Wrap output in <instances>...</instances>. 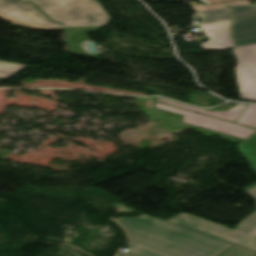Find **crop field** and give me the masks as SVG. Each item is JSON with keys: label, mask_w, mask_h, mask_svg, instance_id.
Masks as SVG:
<instances>
[{"label": "crop field", "mask_w": 256, "mask_h": 256, "mask_svg": "<svg viewBox=\"0 0 256 256\" xmlns=\"http://www.w3.org/2000/svg\"><path fill=\"white\" fill-rule=\"evenodd\" d=\"M117 220L131 237L118 256H217L232 245L146 214Z\"/></svg>", "instance_id": "crop-field-1"}, {"label": "crop field", "mask_w": 256, "mask_h": 256, "mask_svg": "<svg viewBox=\"0 0 256 256\" xmlns=\"http://www.w3.org/2000/svg\"><path fill=\"white\" fill-rule=\"evenodd\" d=\"M36 4L63 27L99 26L110 21L109 15L95 0H24Z\"/></svg>", "instance_id": "crop-field-2"}, {"label": "crop field", "mask_w": 256, "mask_h": 256, "mask_svg": "<svg viewBox=\"0 0 256 256\" xmlns=\"http://www.w3.org/2000/svg\"><path fill=\"white\" fill-rule=\"evenodd\" d=\"M245 191L256 200V186ZM168 221L256 252V212L244 219L235 231L186 213Z\"/></svg>", "instance_id": "crop-field-3"}, {"label": "crop field", "mask_w": 256, "mask_h": 256, "mask_svg": "<svg viewBox=\"0 0 256 256\" xmlns=\"http://www.w3.org/2000/svg\"><path fill=\"white\" fill-rule=\"evenodd\" d=\"M0 17L28 28L61 29L60 24L52 23L32 4L15 0H0Z\"/></svg>", "instance_id": "crop-field-4"}, {"label": "crop field", "mask_w": 256, "mask_h": 256, "mask_svg": "<svg viewBox=\"0 0 256 256\" xmlns=\"http://www.w3.org/2000/svg\"><path fill=\"white\" fill-rule=\"evenodd\" d=\"M155 107L184 116L182 121L183 123L203 127L206 129L227 134L243 140L247 139L248 137L256 133V130H253V129L241 127L232 123H228V122L207 117L204 115L188 112V111L178 109L172 106H168L162 103L156 102Z\"/></svg>", "instance_id": "crop-field-5"}, {"label": "crop field", "mask_w": 256, "mask_h": 256, "mask_svg": "<svg viewBox=\"0 0 256 256\" xmlns=\"http://www.w3.org/2000/svg\"><path fill=\"white\" fill-rule=\"evenodd\" d=\"M241 100L256 101V46L233 49Z\"/></svg>", "instance_id": "crop-field-6"}, {"label": "crop field", "mask_w": 256, "mask_h": 256, "mask_svg": "<svg viewBox=\"0 0 256 256\" xmlns=\"http://www.w3.org/2000/svg\"><path fill=\"white\" fill-rule=\"evenodd\" d=\"M231 40L235 47L256 43V4L233 7Z\"/></svg>", "instance_id": "crop-field-7"}, {"label": "crop field", "mask_w": 256, "mask_h": 256, "mask_svg": "<svg viewBox=\"0 0 256 256\" xmlns=\"http://www.w3.org/2000/svg\"><path fill=\"white\" fill-rule=\"evenodd\" d=\"M230 22L203 25L201 28L210 38L209 41L202 43L203 50L232 48L230 41Z\"/></svg>", "instance_id": "crop-field-8"}, {"label": "crop field", "mask_w": 256, "mask_h": 256, "mask_svg": "<svg viewBox=\"0 0 256 256\" xmlns=\"http://www.w3.org/2000/svg\"><path fill=\"white\" fill-rule=\"evenodd\" d=\"M156 100L160 101V102L170 104V105H174V106H177V107H180V108L205 113V114H208V115H212V116L219 117V118H222V119L230 120V121H233V122H235L237 117L240 115V113L246 107V105L238 104L227 112H208V111H205V110H202V109L190 107V106H187V105H184V104H181V103H178V102L166 100V99H163V98H159V99H156Z\"/></svg>", "instance_id": "crop-field-9"}, {"label": "crop field", "mask_w": 256, "mask_h": 256, "mask_svg": "<svg viewBox=\"0 0 256 256\" xmlns=\"http://www.w3.org/2000/svg\"><path fill=\"white\" fill-rule=\"evenodd\" d=\"M232 12L229 8L208 11L195 12L191 20L202 19L205 24L232 20Z\"/></svg>", "instance_id": "crop-field-10"}, {"label": "crop field", "mask_w": 256, "mask_h": 256, "mask_svg": "<svg viewBox=\"0 0 256 256\" xmlns=\"http://www.w3.org/2000/svg\"><path fill=\"white\" fill-rule=\"evenodd\" d=\"M241 153L248 159L256 170V134L238 145Z\"/></svg>", "instance_id": "crop-field-11"}, {"label": "crop field", "mask_w": 256, "mask_h": 256, "mask_svg": "<svg viewBox=\"0 0 256 256\" xmlns=\"http://www.w3.org/2000/svg\"><path fill=\"white\" fill-rule=\"evenodd\" d=\"M236 123L256 128V106L249 105Z\"/></svg>", "instance_id": "crop-field-12"}, {"label": "crop field", "mask_w": 256, "mask_h": 256, "mask_svg": "<svg viewBox=\"0 0 256 256\" xmlns=\"http://www.w3.org/2000/svg\"><path fill=\"white\" fill-rule=\"evenodd\" d=\"M220 256H256V253L234 245Z\"/></svg>", "instance_id": "crop-field-13"}, {"label": "crop field", "mask_w": 256, "mask_h": 256, "mask_svg": "<svg viewBox=\"0 0 256 256\" xmlns=\"http://www.w3.org/2000/svg\"><path fill=\"white\" fill-rule=\"evenodd\" d=\"M22 69L23 68H21V67L0 66V77L8 78V77L16 74L17 72H19Z\"/></svg>", "instance_id": "crop-field-14"}, {"label": "crop field", "mask_w": 256, "mask_h": 256, "mask_svg": "<svg viewBox=\"0 0 256 256\" xmlns=\"http://www.w3.org/2000/svg\"><path fill=\"white\" fill-rule=\"evenodd\" d=\"M192 7L194 8L195 11H207V10L225 8L227 6L224 3H221V4H215V5H209V6L196 5V6H192Z\"/></svg>", "instance_id": "crop-field-15"}, {"label": "crop field", "mask_w": 256, "mask_h": 256, "mask_svg": "<svg viewBox=\"0 0 256 256\" xmlns=\"http://www.w3.org/2000/svg\"><path fill=\"white\" fill-rule=\"evenodd\" d=\"M225 4L228 7H233V6H240V5H248V4H250V2H249V0H244V1L228 2V3H225Z\"/></svg>", "instance_id": "crop-field-16"}, {"label": "crop field", "mask_w": 256, "mask_h": 256, "mask_svg": "<svg viewBox=\"0 0 256 256\" xmlns=\"http://www.w3.org/2000/svg\"><path fill=\"white\" fill-rule=\"evenodd\" d=\"M0 65H13V66H22V67H26V66H23V65H19V64H14V63H6V62H0Z\"/></svg>", "instance_id": "crop-field-17"}, {"label": "crop field", "mask_w": 256, "mask_h": 256, "mask_svg": "<svg viewBox=\"0 0 256 256\" xmlns=\"http://www.w3.org/2000/svg\"><path fill=\"white\" fill-rule=\"evenodd\" d=\"M202 1H204V2H206V3H208V4L220 3V2H222V1H220V0H202Z\"/></svg>", "instance_id": "crop-field-18"}, {"label": "crop field", "mask_w": 256, "mask_h": 256, "mask_svg": "<svg viewBox=\"0 0 256 256\" xmlns=\"http://www.w3.org/2000/svg\"><path fill=\"white\" fill-rule=\"evenodd\" d=\"M223 2H226V1H232V0H222Z\"/></svg>", "instance_id": "crop-field-19"}]
</instances>
